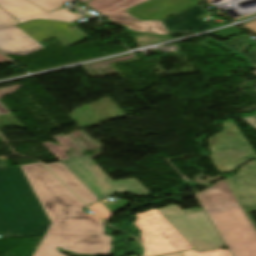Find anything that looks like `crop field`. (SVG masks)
<instances>
[{"label": "crop field", "mask_w": 256, "mask_h": 256, "mask_svg": "<svg viewBox=\"0 0 256 256\" xmlns=\"http://www.w3.org/2000/svg\"><path fill=\"white\" fill-rule=\"evenodd\" d=\"M30 181L51 225L33 256H65L57 246L84 254L110 255L111 236L104 223L85 207L43 164L20 166Z\"/></svg>", "instance_id": "obj_1"}, {"label": "crop field", "mask_w": 256, "mask_h": 256, "mask_svg": "<svg viewBox=\"0 0 256 256\" xmlns=\"http://www.w3.org/2000/svg\"><path fill=\"white\" fill-rule=\"evenodd\" d=\"M50 223L22 169L0 167V234L45 235Z\"/></svg>", "instance_id": "obj_2"}, {"label": "crop field", "mask_w": 256, "mask_h": 256, "mask_svg": "<svg viewBox=\"0 0 256 256\" xmlns=\"http://www.w3.org/2000/svg\"><path fill=\"white\" fill-rule=\"evenodd\" d=\"M198 198L233 254L256 256V230L224 179L198 194Z\"/></svg>", "instance_id": "obj_3"}, {"label": "crop field", "mask_w": 256, "mask_h": 256, "mask_svg": "<svg viewBox=\"0 0 256 256\" xmlns=\"http://www.w3.org/2000/svg\"><path fill=\"white\" fill-rule=\"evenodd\" d=\"M158 211L198 252L225 245L203 208L182 211L175 205Z\"/></svg>", "instance_id": "obj_4"}, {"label": "crop field", "mask_w": 256, "mask_h": 256, "mask_svg": "<svg viewBox=\"0 0 256 256\" xmlns=\"http://www.w3.org/2000/svg\"><path fill=\"white\" fill-rule=\"evenodd\" d=\"M99 200L117 192H129L136 196L151 193L136 179L114 181L88 156L62 162Z\"/></svg>", "instance_id": "obj_5"}, {"label": "crop field", "mask_w": 256, "mask_h": 256, "mask_svg": "<svg viewBox=\"0 0 256 256\" xmlns=\"http://www.w3.org/2000/svg\"><path fill=\"white\" fill-rule=\"evenodd\" d=\"M135 216L133 223L141 230L145 256L194 249L156 209Z\"/></svg>", "instance_id": "obj_6"}, {"label": "crop field", "mask_w": 256, "mask_h": 256, "mask_svg": "<svg viewBox=\"0 0 256 256\" xmlns=\"http://www.w3.org/2000/svg\"><path fill=\"white\" fill-rule=\"evenodd\" d=\"M223 126L222 133L209 138L210 157L219 172L233 171L248 160L256 159V153L232 120L224 122Z\"/></svg>", "instance_id": "obj_7"}, {"label": "crop field", "mask_w": 256, "mask_h": 256, "mask_svg": "<svg viewBox=\"0 0 256 256\" xmlns=\"http://www.w3.org/2000/svg\"><path fill=\"white\" fill-rule=\"evenodd\" d=\"M140 1L142 0H92L87 6L101 12L106 18L116 24L128 26L130 30L175 36L167 31L161 21L145 23L122 10Z\"/></svg>", "instance_id": "obj_8"}, {"label": "crop field", "mask_w": 256, "mask_h": 256, "mask_svg": "<svg viewBox=\"0 0 256 256\" xmlns=\"http://www.w3.org/2000/svg\"><path fill=\"white\" fill-rule=\"evenodd\" d=\"M19 27L37 41L55 37L66 46L88 37L75 24L70 23L37 20L19 25ZM70 27H73V29Z\"/></svg>", "instance_id": "obj_9"}, {"label": "crop field", "mask_w": 256, "mask_h": 256, "mask_svg": "<svg viewBox=\"0 0 256 256\" xmlns=\"http://www.w3.org/2000/svg\"><path fill=\"white\" fill-rule=\"evenodd\" d=\"M201 1L203 0H144L124 10L148 22L161 20Z\"/></svg>", "instance_id": "obj_10"}, {"label": "crop field", "mask_w": 256, "mask_h": 256, "mask_svg": "<svg viewBox=\"0 0 256 256\" xmlns=\"http://www.w3.org/2000/svg\"><path fill=\"white\" fill-rule=\"evenodd\" d=\"M0 6L14 15L21 23L36 19L75 23L80 18L66 9L46 13L26 0H0Z\"/></svg>", "instance_id": "obj_11"}, {"label": "crop field", "mask_w": 256, "mask_h": 256, "mask_svg": "<svg viewBox=\"0 0 256 256\" xmlns=\"http://www.w3.org/2000/svg\"><path fill=\"white\" fill-rule=\"evenodd\" d=\"M225 181L245 212L256 210V161L247 164L236 176Z\"/></svg>", "instance_id": "obj_12"}, {"label": "crop field", "mask_w": 256, "mask_h": 256, "mask_svg": "<svg viewBox=\"0 0 256 256\" xmlns=\"http://www.w3.org/2000/svg\"><path fill=\"white\" fill-rule=\"evenodd\" d=\"M49 46L37 42L17 26L0 29V52L2 54L25 55Z\"/></svg>", "instance_id": "obj_13"}, {"label": "crop field", "mask_w": 256, "mask_h": 256, "mask_svg": "<svg viewBox=\"0 0 256 256\" xmlns=\"http://www.w3.org/2000/svg\"><path fill=\"white\" fill-rule=\"evenodd\" d=\"M203 9V8H202ZM199 5L163 20V24L173 33H192L214 26L202 21L199 17L206 13Z\"/></svg>", "instance_id": "obj_14"}, {"label": "crop field", "mask_w": 256, "mask_h": 256, "mask_svg": "<svg viewBox=\"0 0 256 256\" xmlns=\"http://www.w3.org/2000/svg\"><path fill=\"white\" fill-rule=\"evenodd\" d=\"M58 175L87 205L98 199L62 164L47 165Z\"/></svg>", "instance_id": "obj_15"}, {"label": "crop field", "mask_w": 256, "mask_h": 256, "mask_svg": "<svg viewBox=\"0 0 256 256\" xmlns=\"http://www.w3.org/2000/svg\"><path fill=\"white\" fill-rule=\"evenodd\" d=\"M230 49H233L244 57H246L256 69V51L251 53H243L244 47L256 45V41L252 40L248 35H241L231 38L230 42L222 44Z\"/></svg>", "instance_id": "obj_16"}, {"label": "crop field", "mask_w": 256, "mask_h": 256, "mask_svg": "<svg viewBox=\"0 0 256 256\" xmlns=\"http://www.w3.org/2000/svg\"><path fill=\"white\" fill-rule=\"evenodd\" d=\"M31 2L37 4L47 11H52L54 9L60 8L65 3H72L76 0H30Z\"/></svg>", "instance_id": "obj_17"}, {"label": "crop field", "mask_w": 256, "mask_h": 256, "mask_svg": "<svg viewBox=\"0 0 256 256\" xmlns=\"http://www.w3.org/2000/svg\"><path fill=\"white\" fill-rule=\"evenodd\" d=\"M184 256H232L229 250L219 249L214 251L198 253L196 250L183 252Z\"/></svg>", "instance_id": "obj_18"}, {"label": "crop field", "mask_w": 256, "mask_h": 256, "mask_svg": "<svg viewBox=\"0 0 256 256\" xmlns=\"http://www.w3.org/2000/svg\"><path fill=\"white\" fill-rule=\"evenodd\" d=\"M96 214H98L102 220L110 219L112 213L100 202H96L89 206Z\"/></svg>", "instance_id": "obj_19"}, {"label": "crop field", "mask_w": 256, "mask_h": 256, "mask_svg": "<svg viewBox=\"0 0 256 256\" xmlns=\"http://www.w3.org/2000/svg\"><path fill=\"white\" fill-rule=\"evenodd\" d=\"M135 37L140 47L169 39V38H155L151 35H138Z\"/></svg>", "instance_id": "obj_20"}, {"label": "crop field", "mask_w": 256, "mask_h": 256, "mask_svg": "<svg viewBox=\"0 0 256 256\" xmlns=\"http://www.w3.org/2000/svg\"><path fill=\"white\" fill-rule=\"evenodd\" d=\"M112 213L119 211L126 207L129 203L127 200H115L113 202H104L103 203Z\"/></svg>", "instance_id": "obj_21"}, {"label": "crop field", "mask_w": 256, "mask_h": 256, "mask_svg": "<svg viewBox=\"0 0 256 256\" xmlns=\"http://www.w3.org/2000/svg\"><path fill=\"white\" fill-rule=\"evenodd\" d=\"M19 23L0 8V27L18 25Z\"/></svg>", "instance_id": "obj_22"}, {"label": "crop field", "mask_w": 256, "mask_h": 256, "mask_svg": "<svg viewBox=\"0 0 256 256\" xmlns=\"http://www.w3.org/2000/svg\"><path fill=\"white\" fill-rule=\"evenodd\" d=\"M248 30L256 34V21L243 24Z\"/></svg>", "instance_id": "obj_23"}, {"label": "crop field", "mask_w": 256, "mask_h": 256, "mask_svg": "<svg viewBox=\"0 0 256 256\" xmlns=\"http://www.w3.org/2000/svg\"><path fill=\"white\" fill-rule=\"evenodd\" d=\"M243 120H245L247 123H249L252 127L256 129V115L243 118Z\"/></svg>", "instance_id": "obj_24"}, {"label": "crop field", "mask_w": 256, "mask_h": 256, "mask_svg": "<svg viewBox=\"0 0 256 256\" xmlns=\"http://www.w3.org/2000/svg\"><path fill=\"white\" fill-rule=\"evenodd\" d=\"M163 256H183L182 252L179 253H173V254H168V255H163Z\"/></svg>", "instance_id": "obj_25"}, {"label": "crop field", "mask_w": 256, "mask_h": 256, "mask_svg": "<svg viewBox=\"0 0 256 256\" xmlns=\"http://www.w3.org/2000/svg\"><path fill=\"white\" fill-rule=\"evenodd\" d=\"M247 215H248V217H249L251 223L253 224V226H254L255 229H256V223H255L254 220L252 219V217H251V215L249 214V212H247Z\"/></svg>", "instance_id": "obj_26"}, {"label": "crop field", "mask_w": 256, "mask_h": 256, "mask_svg": "<svg viewBox=\"0 0 256 256\" xmlns=\"http://www.w3.org/2000/svg\"><path fill=\"white\" fill-rule=\"evenodd\" d=\"M3 164V158H0V166Z\"/></svg>", "instance_id": "obj_27"}, {"label": "crop field", "mask_w": 256, "mask_h": 256, "mask_svg": "<svg viewBox=\"0 0 256 256\" xmlns=\"http://www.w3.org/2000/svg\"><path fill=\"white\" fill-rule=\"evenodd\" d=\"M79 1H81V2H83V3H84V2H86V1H88V0H79Z\"/></svg>", "instance_id": "obj_28"}, {"label": "crop field", "mask_w": 256, "mask_h": 256, "mask_svg": "<svg viewBox=\"0 0 256 256\" xmlns=\"http://www.w3.org/2000/svg\"><path fill=\"white\" fill-rule=\"evenodd\" d=\"M255 75H256V71L255 72H253Z\"/></svg>", "instance_id": "obj_29"}]
</instances>
